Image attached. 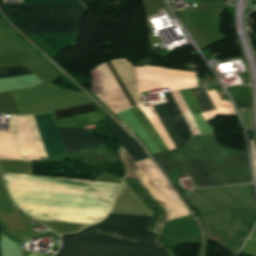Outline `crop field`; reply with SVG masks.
<instances>
[{"label":"crop field","instance_id":"1","mask_svg":"<svg viewBox=\"0 0 256 256\" xmlns=\"http://www.w3.org/2000/svg\"><path fill=\"white\" fill-rule=\"evenodd\" d=\"M108 217V216H107ZM150 218L110 214L77 234L61 235L56 256H168L145 229Z\"/></svg>","mask_w":256,"mask_h":256},{"label":"crop field","instance_id":"2","mask_svg":"<svg viewBox=\"0 0 256 256\" xmlns=\"http://www.w3.org/2000/svg\"><path fill=\"white\" fill-rule=\"evenodd\" d=\"M156 158L166 173L187 172L195 187L252 182L247 151L219 145L213 133L194 135L186 145Z\"/></svg>","mask_w":256,"mask_h":256},{"label":"crop field","instance_id":"3","mask_svg":"<svg viewBox=\"0 0 256 256\" xmlns=\"http://www.w3.org/2000/svg\"><path fill=\"white\" fill-rule=\"evenodd\" d=\"M196 191L186 199L199 211L207 237L235 255L256 221L252 184Z\"/></svg>","mask_w":256,"mask_h":256},{"label":"crop field","instance_id":"4","mask_svg":"<svg viewBox=\"0 0 256 256\" xmlns=\"http://www.w3.org/2000/svg\"><path fill=\"white\" fill-rule=\"evenodd\" d=\"M117 150L125 166V177L139 178L146 190L166 210L167 220L189 214L185 205L150 159L134 163L122 146ZM124 182L154 212L147 229L161 234L165 222L163 208L149 195L138 180L125 179Z\"/></svg>","mask_w":256,"mask_h":256},{"label":"crop field","instance_id":"5","mask_svg":"<svg viewBox=\"0 0 256 256\" xmlns=\"http://www.w3.org/2000/svg\"><path fill=\"white\" fill-rule=\"evenodd\" d=\"M27 4H80L79 0H28ZM80 5L4 4L30 33L80 34L85 8Z\"/></svg>","mask_w":256,"mask_h":256},{"label":"crop field","instance_id":"6","mask_svg":"<svg viewBox=\"0 0 256 256\" xmlns=\"http://www.w3.org/2000/svg\"><path fill=\"white\" fill-rule=\"evenodd\" d=\"M190 91L200 109L201 112L215 109L205 88H190ZM190 114L198 113L199 110L189 92V90L179 91ZM164 97L167 101L165 103L154 105V109L157 112L161 122L163 123L168 135L170 136L175 147L185 144L188 139L192 136L171 92L164 93ZM131 111L136 116L140 124L143 126L147 134L150 136L154 144L159 149L160 153L154 154L159 155L167 148L163 144L162 140L154 130L153 126L145 116L140 106L131 108Z\"/></svg>","mask_w":256,"mask_h":256},{"label":"crop field","instance_id":"7","mask_svg":"<svg viewBox=\"0 0 256 256\" xmlns=\"http://www.w3.org/2000/svg\"><path fill=\"white\" fill-rule=\"evenodd\" d=\"M58 127H82L102 123L106 115L93 103L53 112Z\"/></svg>","mask_w":256,"mask_h":256},{"label":"crop field","instance_id":"8","mask_svg":"<svg viewBox=\"0 0 256 256\" xmlns=\"http://www.w3.org/2000/svg\"><path fill=\"white\" fill-rule=\"evenodd\" d=\"M67 154L103 144L83 128H57Z\"/></svg>","mask_w":256,"mask_h":256},{"label":"crop field","instance_id":"9","mask_svg":"<svg viewBox=\"0 0 256 256\" xmlns=\"http://www.w3.org/2000/svg\"><path fill=\"white\" fill-rule=\"evenodd\" d=\"M105 124H108L109 127L118 135L122 146L131 156L134 162L142 160L144 158H149L147 153L143 150L139 143L135 142L131 136L124 131L115 121L110 117H107Z\"/></svg>","mask_w":256,"mask_h":256},{"label":"crop field","instance_id":"10","mask_svg":"<svg viewBox=\"0 0 256 256\" xmlns=\"http://www.w3.org/2000/svg\"><path fill=\"white\" fill-rule=\"evenodd\" d=\"M226 89L234 100L239 112L251 109L252 99L248 86H236Z\"/></svg>","mask_w":256,"mask_h":256},{"label":"crop field","instance_id":"11","mask_svg":"<svg viewBox=\"0 0 256 256\" xmlns=\"http://www.w3.org/2000/svg\"><path fill=\"white\" fill-rule=\"evenodd\" d=\"M31 74L24 66L0 68V78L29 75Z\"/></svg>","mask_w":256,"mask_h":256},{"label":"crop field","instance_id":"12","mask_svg":"<svg viewBox=\"0 0 256 256\" xmlns=\"http://www.w3.org/2000/svg\"><path fill=\"white\" fill-rule=\"evenodd\" d=\"M107 65L110 68L111 72L113 73L114 77L116 78L117 82L119 83L120 87L122 88L123 92L125 93L126 97L128 98L129 102L131 103L132 107L136 106L133 99L131 98L130 94L128 93L126 87L124 86L122 80L120 79L118 73L116 72L115 68L113 67L112 63L108 62Z\"/></svg>","mask_w":256,"mask_h":256},{"label":"crop field","instance_id":"13","mask_svg":"<svg viewBox=\"0 0 256 256\" xmlns=\"http://www.w3.org/2000/svg\"><path fill=\"white\" fill-rule=\"evenodd\" d=\"M5 31L3 30L2 26L0 25V39L7 38Z\"/></svg>","mask_w":256,"mask_h":256},{"label":"crop field","instance_id":"14","mask_svg":"<svg viewBox=\"0 0 256 256\" xmlns=\"http://www.w3.org/2000/svg\"><path fill=\"white\" fill-rule=\"evenodd\" d=\"M214 1H226V0H201V2H214Z\"/></svg>","mask_w":256,"mask_h":256}]
</instances>
